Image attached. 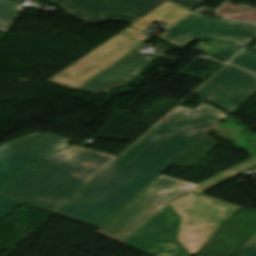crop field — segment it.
I'll list each match as a JSON object with an SVG mask.
<instances>
[{
	"instance_id": "obj_14",
	"label": "crop field",
	"mask_w": 256,
	"mask_h": 256,
	"mask_svg": "<svg viewBox=\"0 0 256 256\" xmlns=\"http://www.w3.org/2000/svg\"><path fill=\"white\" fill-rule=\"evenodd\" d=\"M206 42L223 48L222 50L213 54V56L219 59H223L225 61H227L229 58H231L234 54H236L241 49L229 42H221V41H206Z\"/></svg>"
},
{
	"instance_id": "obj_17",
	"label": "crop field",
	"mask_w": 256,
	"mask_h": 256,
	"mask_svg": "<svg viewBox=\"0 0 256 256\" xmlns=\"http://www.w3.org/2000/svg\"><path fill=\"white\" fill-rule=\"evenodd\" d=\"M235 256H256V248L243 246Z\"/></svg>"
},
{
	"instance_id": "obj_5",
	"label": "crop field",
	"mask_w": 256,
	"mask_h": 256,
	"mask_svg": "<svg viewBox=\"0 0 256 256\" xmlns=\"http://www.w3.org/2000/svg\"><path fill=\"white\" fill-rule=\"evenodd\" d=\"M151 38L129 27L50 78L49 81L77 89Z\"/></svg>"
},
{
	"instance_id": "obj_1",
	"label": "crop field",
	"mask_w": 256,
	"mask_h": 256,
	"mask_svg": "<svg viewBox=\"0 0 256 256\" xmlns=\"http://www.w3.org/2000/svg\"><path fill=\"white\" fill-rule=\"evenodd\" d=\"M226 116L177 106L56 212L99 228Z\"/></svg>"
},
{
	"instance_id": "obj_7",
	"label": "crop field",
	"mask_w": 256,
	"mask_h": 256,
	"mask_svg": "<svg viewBox=\"0 0 256 256\" xmlns=\"http://www.w3.org/2000/svg\"><path fill=\"white\" fill-rule=\"evenodd\" d=\"M68 141L52 135L32 134L0 146V189L25 165L70 146ZM22 203L0 194V221Z\"/></svg>"
},
{
	"instance_id": "obj_9",
	"label": "crop field",
	"mask_w": 256,
	"mask_h": 256,
	"mask_svg": "<svg viewBox=\"0 0 256 256\" xmlns=\"http://www.w3.org/2000/svg\"><path fill=\"white\" fill-rule=\"evenodd\" d=\"M256 91V75L227 64L196 93L209 96L205 102L230 114Z\"/></svg>"
},
{
	"instance_id": "obj_3",
	"label": "crop field",
	"mask_w": 256,
	"mask_h": 256,
	"mask_svg": "<svg viewBox=\"0 0 256 256\" xmlns=\"http://www.w3.org/2000/svg\"><path fill=\"white\" fill-rule=\"evenodd\" d=\"M115 157L73 146L26 166L0 193L53 212Z\"/></svg>"
},
{
	"instance_id": "obj_13",
	"label": "crop field",
	"mask_w": 256,
	"mask_h": 256,
	"mask_svg": "<svg viewBox=\"0 0 256 256\" xmlns=\"http://www.w3.org/2000/svg\"><path fill=\"white\" fill-rule=\"evenodd\" d=\"M231 63L256 72V53L245 49Z\"/></svg>"
},
{
	"instance_id": "obj_8",
	"label": "crop field",
	"mask_w": 256,
	"mask_h": 256,
	"mask_svg": "<svg viewBox=\"0 0 256 256\" xmlns=\"http://www.w3.org/2000/svg\"><path fill=\"white\" fill-rule=\"evenodd\" d=\"M256 36V25L240 21L206 19L189 14L158 34L170 45L182 47L194 39H218L244 46Z\"/></svg>"
},
{
	"instance_id": "obj_12",
	"label": "crop field",
	"mask_w": 256,
	"mask_h": 256,
	"mask_svg": "<svg viewBox=\"0 0 256 256\" xmlns=\"http://www.w3.org/2000/svg\"><path fill=\"white\" fill-rule=\"evenodd\" d=\"M24 8L11 1L0 0V30L6 32Z\"/></svg>"
},
{
	"instance_id": "obj_2",
	"label": "crop field",
	"mask_w": 256,
	"mask_h": 256,
	"mask_svg": "<svg viewBox=\"0 0 256 256\" xmlns=\"http://www.w3.org/2000/svg\"><path fill=\"white\" fill-rule=\"evenodd\" d=\"M194 186L160 175L96 232L153 256H187L174 241L178 218L165 201Z\"/></svg>"
},
{
	"instance_id": "obj_10",
	"label": "crop field",
	"mask_w": 256,
	"mask_h": 256,
	"mask_svg": "<svg viewBox=\"0 0 256 256\" xmlns=\"http://www.w3.org/2000/svg\"><path fill=\"white\" fill-rule=\"evenodd\" d=\"M152 61L151 58L132 52L78 90L95 95L113 87L127 86Z\"/></svg>"
},
{
	"instance_id": "obj_4",
	"label": "crop field",
	"mask_w": 256,
	"mask_h": 256,
	"mask_svg": "<svg viewBox=\"0 0 256 256\" xmlns=\"http://www.w3.org/2000/svg\"><path fill=\"white\" fill-rule=\"evenodd\" d=\"M169 204L182 218L178 241L191 255L240 208L202 194L187 193Z\"/></svg>"
},
{
	"instance_id": "obj_6",
	"label": "crop field",
	"mask_w": 256,
	"mask_h": 256,
	"mask_svg": "<svg viewBox=\"0 0 256 256\" xmlns=\"http://www.w3.org/2000/svg\"><path fill=\"white\" fill-rule=\"evenodd\" d=\"M70 16L87 24L121 21L132 24L169 1L195 8L206 0H51Z\"/></svg>"
},
{
	"instance_id": "obj_15",
	"label": "crop field",
	"mask_w": 256,
	"mask_h": 256,
	"mask_svg": "<svg viewBox=\"0 0 256 256\" xmlns=\"http://www.w3.org/2000/svg\"><path fill=\"white\" fill-rule=\"evenodd\" d=\"M235 175H237V174H234V173L223 174L215 179H212V180L192 189V191L202 193L203 191H205V190H207V189H209V188H211V187H213V186H215V185H217Z\"/></svg>"
},
{
	"instance_id": "obj_16",
	"label": "crop field",
	"mask_w": 256,
	"mask_h": 256,
	"mask_svg": "<svg viewBox=\"0 0 256 256\" xmlns=\"http://www.w3.org/2000/svg\"><path fill=\"white\" fill-rule=\"evenodd\" d=\"M254 165H256V157H254V158H252V159H250L248 161H245V162H243V163L233 167L232 169H230V170H228L226 172L241 173L244 170H246V169H248V168H250V167H252Z\"/></svg>"
},
{
	"instance_id": "obj_11",
	"label": "crop field",
	"mask_w": 256,
	"mask_h": 256,
	"mask_svg": "<svg viewBox=\"0 0 256 256\" xmlns=\"http://www.w3.org/2000/svg\"><path fill=\"white\" fill-rule=\"evenodd\" d=\"M190 10L191 9L179 7L177 5L166 2L159 8L155 9L151 13L147 14L132 24V26L140 30H144L156 20L170 25Z\"/></svg>"
}]
</instances>
